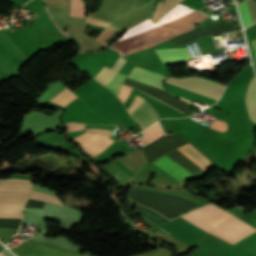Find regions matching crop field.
<instances>
[{"instance_id":"1","label":"crop field","mask_w":256,"mask_h":256,"mask_svg":"<svg viewBox=\"0 0 256 256\" xmlns=\"http://www.w3.org/2000/svg\"><path fill=\"white\" fill-rule=\"evenodd\" d=\"M189 10L191 9L184 5L178 4L173 10H171L168 14L163 16L156 23L151 22L150 18H148L134 25L133 27L127 29V31L117 41H115L110 48L111 49L115 48L119 50L123 55L136 52L139 50H143V49L155 46L170 37L176 36L187 30L193 29L191 25L196 24L199 21L203 20L204 18L208 17L199 11L196 12L194 10H191V11ZM186 11H189V12H186ZM181 13H184V14H181ZM176 15H179V16H176ZM169 18H172V19H169ZM164 20H167V21H164ZM159 22H162V23H159ZM154 24H157V25H154ZM145 28H148V29H145ZM136 32H139V33H136ZM127 36H130V37H127ZM116 42L118 43L115 44ZM113 45L114 47L112 48ZM120 52L119 54L123 56Z\"/></svg>"},{"instance_id":"2","label":"crop field","mask_w":256,"mask_h":256,"mask_svg":"<svg viewBox=\"0 0 256 256\" xmlns=\"http://www.w3.org/2000/svg\"><path fill=\"white\" fill-rule=\"evenodd\" d=\"M181 217L231 244L256 231V228L214 204Z\"/></svg>"},{"instance_id":"3","label":"crop field","mask_w":256,"mask_h":256,"mask_svg":"<svg viewBox=\"0 0 256 256\" xmlns=\"http://www.w3.org/2000/svg\"><path fill=\"white\" fill-rule=\"evenodd\" d=\"M39 49L23 30H0V70L18 75V68Z\"/></svg>"},{"instance_id":"4","label":"crop field","mask_w":256,"mask_h":256,"mask_svg":"<svg viewBox=\"0 0 256 256\" xmlns=\"http://www.w3.org/2000/svg\"><path fill=\"white\" fill-rule=\"evenodd\" d=\"M178 149L185 153L188 157H190L204 169L212 166V164L207 160V158L189 143ZM152 164L164 170L166 173H168L169 175H171L172 177L179 181L194 175L188 170L181 167L175 161L170 159L166 154L156 159Z\"/></svg>"},{"instance_id":"5","label":"crop field","mask_w":256,"mask_h":256,"mask_svg":"<svg viewBox=\"0 0 256 256\" xmlns=\"http://www.w3.org/2000/svg\"><path fill=\"white\" fill-rule=\"evenodd\" d=\"M166 82L215 99L220 97L224 89V87L219 84L197 78L177 80L169 77Z\"/></svg>"},{"instance_id":"6","label":"crop field","mask_w":256,"mask_h":256,"mask_svg":"<svg viewBox=\"0 0 256 256\" xmlns=\"http://www.w3.org/2000/svg\"><path fill=\"white\" fill-rule=\"evenodd\" d=\"M109 137V135L86 132L72 141L89 156H95L114 142V140L108 139Z\"/></svg>"},{"instance_id":"7","label":"crop field","mask_w":256,"mask_h":256,"mask_svg":"<svg viewBox=\"0 0 256 256\" xmlns=\"http://www.w3.org/2000/svg\"><path fill=\"white\" fill-rule=\"evenodd\" d=\"M128 78H132L164 90L162 82L166 76L156 74L135 66L134 69L129 73Z\"/></svg>"},{"instance_id":"8","label":"crop field","mask_w":256,"mask_h":256,"mask_svg":"<svg viewBox=\"0 0 256 256\" xmlns=\"http://www.w3.org/2000/svg\"><path fill=\"white\" fill-rule=\"evenodd\" d=\"M131 116L139 123L142 129L160 119L158 113L147 103L146 100Z\"/></svg>"},{"instance_id":"9","label":"crop field","mask_w":256,"mask_h":256,"mask_svg":"<svg viewBox=\"0 0 256 256\" xmlns=\"http://www.w3.org/2000/svg\"><path fill=\"white\" fill-rule=\"evenodd\" d=\"M160 59L165 62L186 61L192 59L187 48L155 50Z\"/></svg>"},{"instance_id":"10","label":"crop field","mask_w":256,"mask_h":256,"mask_svg":"<svg viewBox=\"0 0 256 256\" xmlns=\"http://www.w3.org/2000/svg\"><path fill=\"white\" fill-rule=\"evenodd\" d=\"M32 180L7 179L0 180V191L31 192Z\"/></svg>"},{"instance_id":"11","label":"crop field","mask_w":256,"mask_h":256,"mask_svg":"<svg viewBox=\"0 0 256 256\" xmlns=\"http://www.w3.org/2000/svg\"><path fill=\"white\" fill-rule=\"evenodd\" d=\"M125 61L126 60L120 56V58L115 63L112 69L104 66L102 70L94 78L106 86L108 82L114 77V75L119 71V69L122 67Z\"/></svg>"},{"instance_id":"12","label":"crop field","mask_w":256,"mask_h":256,"mask_svg":"<svg viewBox=\"0 0 256 256\" xmlns=\"http://www.w3.org/2000/svg\"><path fill=\"white\" fill-rule=\"evenodd\" d=\"M247 1V5H248V9L251 15V19L252 22H256V5L255 2L253 0H246ZM246 1H243L242 3H239V10H240V14L241 17L243 19V24L245 27H247L248 25L252 24L251 19H250V15L247 9V5H246Z\"/></svg>"},{"instance_id":"13","label":"crop field","mask_w":256,"mask_h":256,"mask_svg":"<svg viewBox=\"0 0 256 256\" xmlns=\"http://www.w3.org/2000/svg\"><path fill=\"white\" fill-rule=\"evenodd\" d=\"M246 105L249 111L250 119L256 122V80L254 77L248 87Z\"/></svg>"},{"instance_id":"14","label":"crop field","mask_w":256,"mask_h":256,"mask_svg":"<svg viewBox=\"0 0 256 256\" xmlns=\"http://www.w3.org/2000/svg\"><path fill=\"white\" fill-rule=\"evenodd\" d=\"M29 194L19 192H0V203L24 205Z\"/></svg>"},{"instance_id":"15","label":"crop field","mask_w":256,"mask_h":256,"mask_svg":"<svg viewBox=\"0 0 256 256\" xmlns=\"http://www.w3.org/2000/svg\"><path fill=\"white\" fill-rule=\"evenodd\" d=\"M23 207L21 205L0 204V218H21Z\"/></svg>"},{"instance_id":"16","label":"crop field","mask_w":256,"mask_h":256,"mask_svg":"<svg viewBox=\"0 0 256 256\" xmlns=\"http://www.w3.org/2000/svg\"><path fill=\"white\" fill-rule=\"evenodd\" d=\"M122 161H124L125 163L129 164L130 166H132L133 168L137 169L145 163V159H144V156L141 152V149H138L134 152H132L131 154L125 156L124 158L120 159ZM132 176L129 177V179L131 178ZM128 179V180H129ZM127 180V181H128ZM127 181L124 183L126 184Z\"/></svg>"},{"instance_id":"17","label":"crop field","mask_w":256,"mask_h":256,"mask_svg":"<svg viewBox=\"0 0 256 256\" xmlns=\"http://www.w3.org/2000/svg\"><path fill=\"white\" fill-rule=\"evenodd\" d=\"M76 97H78V96H76L70 90L65 88L58 95H56L53 99H51V101L65 106L66 104H68L70 101H72Z\"/></svg>"},{"instance_id":"18","label":"crop field","mask_w":256,"mask_h":256,"mask_svg":"<svg viewBox=\"0 0 256 256\" xmlns=\"http://www.w3.org/2000/svg\"><path fill=\"white\" fill-rule=\"evenodd\" d=\"M31 199H36V200H41V201H46L54 204H60L63 205L62 202L55 196L45 194L39 191H33L31 196Z\"/></svg>"},{"instance_id":"19","label":"crop field","mask_w":256,"mask_h":256,"mask_svg":"<svg viewBox=\"0 0 256 256\" xmlns=\"http://www.w3.org/2000/svg\"><path fill=\"white\" fill-rule=\"evenodd\" d=\"M69 15L85 17L82 0H71Z\"/></svg>"},{"instance_id":"20","label":"crop field","mask_w":256,"mask_h":256,"mask_svg":"<svg viewBox=\"0 0 256 256\" xmlns=\"http://www.w3.org/2000/svg\"><path fill=\"white\" fill-rule=\"evenodd\" d=\"M127 77V76H126ZM125 76L117 73V75L113 78V80L107 85V87L117 95L120 89V86L124 80Z\"/></svg>"},{"instance_id":"21","label":"crop field","mask_w":256,"mask_h":256,"mask_svg":"<svg viewBox=\"0 0 256 256\" xmlns=\"http://www.w3.org/2000/svg\"><path fill=\"white\" fill-rule=\"evenodd\" d=\"M21 219H0V228L18 229Z\"/></svg>"},{"instance_id":"22","label":"crop field","mask_w":256,"mask_h":256,"mask_svg":"<svg viewBox=\"0 0 256 256\" xmlns=\"http://www.w3.org/2000/svg\"><path fill=\"white\" fill-rule=\"evenodd\" d=\"M145 99L136 96L133 104L127 109L129 113H132Z\"/></svg>"},{"instance_id":"23","label":"crop field","mask_w":256,"mask_h":256,"mask_svg":"<svg viewBox=\"0 0 256 256\" xmlns=\"http://www.w3.org/2000/svg\"><path fill=\"white\" fill-rule=\"evenodd\" d=\"M85 124L68 123L66 132L84 129Z\"/></svg>"},{"instance_id":"24","label":"crop field","mask_w":256,"mask_h":256,"mask_svg":"<svg viewBox=\"0 0 256 256\" xmlns=\"http://www.w3.org/2000/svg\"><path fill=\"white\" fill-rule=\"evenodd\" d=\"M43 203L44 202H41V201H36V200L28 199L25 207L42 208L43 207Z\"/></svg>"},{"instance_id":"25","label":"crop field","mask_w":256,"mask_h":256,"mask_svg":"<svg viewBox=\"0 0 256 256\" xmlns=\"http://www.w3.org/2000/svg\"><path fill=\"white\" fill-rule=\"evenodd\" d=\"M86 131H95V132H103L111 134L112 131L104 130V129H86Z\"/></svg>"},{"instance_id":"26","label":"crop field","mask_w":256,"mask_h":256,"mask_svg":"<svg viewBox=\"0 0 256 256\" xmlns=\"http://www.w3.org/2000/svg\"><path fill=\"white\" fill-rule=\"evenodd\" d=\"M250 42H251V44L253 46L254 55H255V62H256V40H252Z\"/></svg>"},{"instance_id":"27","label":"crop field","mask_w":256,"mask_h":256,"mask_svg":"<svg viewBox=\"0 0 256 256\" xmlns=\"http://www.w3.org/2000/svg\"><path fill=\"white\" fill-rule=\"evenodd\" d=\"M130 198V197H129ZM132 199V198H131ZM133 200V199H132ZM134 201V200H133ZM136 202V201H135ZM137 203V202H136Z\"/></svg>"},{"instance_id":"28","label":"crop field","mask_w":256,"mask_h":256,"mask_svg":"<svg viewBox=\"0 0 256 256\" xmlns=\"http://www.w3.org/2000/svg\"><path fill=\"white\" fill-rule=\"evenodd\" d=\"M0 256H4V255L0 254Z\"/></svg>"},{"instance_id":"29","label":"crop field","mask_w":256,"mask_h":256,"mask_svg":"<svg viewBox=\"0 0 256 256\" xmlns=\"http://www.w3.org/2000/svg\"><path fill=\"white\" fill-rule=\"evenodd\" d=\"M190 113V112H189Z\"/></svg>"}]
</instances>
